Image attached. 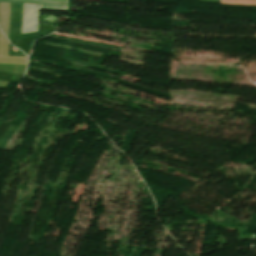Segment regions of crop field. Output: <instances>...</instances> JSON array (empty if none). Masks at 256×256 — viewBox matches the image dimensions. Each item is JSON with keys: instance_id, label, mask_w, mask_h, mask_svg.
<instances>
[{"instance_id": "1", "label": "crop field", "mask_w": 256, "mask_h": 256, "mask_svg": "<svg viewBox=\"0 0 256 256\" xmlns=\"http://www.w3.org/2000/svg\"><path fill=\"white\" fill-rule=\"evenodd\" d=\"M38 13H39V5L23 4L21 34L37 31Z\"/></svg>"}, {"instance_id": "2", "label": "crop field", "mask_w": 256, "mask_h": 256, "mask_svg": "<svg viewBox=\"0 0 256 256\" xmlns=\"http://www.w3.org/2000/svg\"><path fill=\"white\" fill-rule=\"evenodd\" d=\"M0 2H18V3H36L40 4V8L67 10L68 2H50V1H34V0H0Z\"/></svg>"}, {"instance_id": "3", "label": "crop field", "mask_w": 256, "mask_h": 256, "mask_svg": "<svg viewBox=\"0 0 256 256\" xmlns=\"http://www.w3.org/2000/svg\"><path fill=\"white\" fill-rule=\"evenodd\" d=\"M222 3H236V4H252L256 5V0H221Z\"/></svg>"}, {"instance_id": "4", "label": "crop field", "mask_w": 256, "mask_h": 256, "mask_svg": "<svg viewBox=\"0 0 256 256\" xmlns=\"http://www.w3.org/2000/svg\"><path fill=\"white\" fill-rule=\"evenodd\" d=\"M53 1H69V0H53Z\"/></svg>"}]
</instances>
